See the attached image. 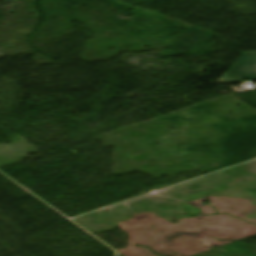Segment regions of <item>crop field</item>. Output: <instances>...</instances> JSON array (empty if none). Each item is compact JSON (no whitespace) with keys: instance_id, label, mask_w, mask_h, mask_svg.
Segmentation results:
<instances>
[{"instance_id":"8a807250","label":"crop field","mask_w":256,"mask_h":256,"mask_svg":"<svg viewBox=\"0 0 256 256\" xmlns=\"http://www.w3.org/2000/svg\"><path fill=\"white\" fill-rule=\"evenodd\" d=\"M240 79H256V51L244 52L241 60L216 83H238Z\"/></svg>"}]
</instances>
